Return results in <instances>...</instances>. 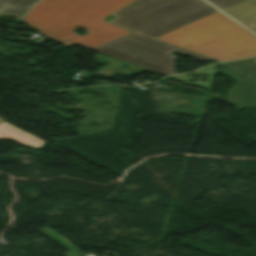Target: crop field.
I'll return each instance as SVG.
<instances>
[{
    "label": "crop field",
    "mask_w": 256,
    "mask_h": 256,
    "mask_svg": "<svg viewBox=\"0 0 256 256\" xmlns=\"http://www.w3.org/2000/svg\"><path fill=\"white\" fill-rule=\"evenodd\" d=\"M38 0H0V14L21 18Z\"/></svg>",
    "instance_id": "7"
},
{
    "label": "crop field",
    "mask_w": 256,
    "mask_h": 256,
    "mask_svg": "<svg viewBox=\"0 0 256 256\" xmlns=\"http://www.w3.org/2000/svg\"><path fill=\"white\" fill-rule=\"evenodd\" d=\"M0 139H13L19 143L39 149L46 142L5 122L0 124Z\"/></svg>",
    "instance_id": "6"
},
{
    "label": "crop field",
    "mask_w": 256,
    "mask_h": 256,
    "mask_svg": "<svg viewBox=\"0 0 256 256\" xmlns=\"http://www.w3.org/2000/svg\"><path fill=\"white\" fill-rule=\"evenodd\" d=\"M254 62H256V61H254Z\"/></svg>",
    "instance_id": "12"
},
{
    "label": "crop field",
    "mask_w": 256,
    "mask_h": 256,
    "mask_svg": "<svg viewBox=\"0 0 256 256\" xmlns=\"http://www.w3.org/2000/svg\"><path fill=\"white\" fill-rule=\"evenodd\" d=\"M216 65L206 67V68H203V69H201L197 72H194V74H200V75L208 74V79H207L206 83L198 82V81L190 83L187 80L192 79V78L190 76H185V75H174V76H170V78L173 79V80L181 81V82H183L187 85H198V86L208 90L209 87H210V84L212 82L213 76H214Z\"/></svg>",
    "instance_id": "9"
},
{
    "label": "crop field",
    "mask_w": 256,
    "mask_h": 256,
    "mask_svg": "<svg viewBox=\"0 0 256 256\" xmlns=\"http://www.w3.org/2000/svg\"><path fill=\"white\" fill-rule=\"evenodd\" d=\"M0 121H2V119H0Z\"/></svg>",
    "instance_id": "11"
},
{
    "label": "crop field",
    "mask_w": 256,
    "mask_h": 256,
    "mask_svg": "<svg viewBox=\"0 0 256 256\" xmlns=\"http://www.w3.org/2000/svg\"><path fill=\"white\" fill-rule=\"evenodd\" d=\"M251 34L218 11L155 39L225 61L256 55Z\"/></svg>",
    "instance_id": "3"
},
{
    "label": "crop field",
    "mask_w": 256,
    "mask_h": 256,
    "mask_svg": "<svg viewBox=\"0 0 256 256\" xmlns=\"http://www.w3.org/2000/svg\"><path fill=\"white\" fill-rule=\"evenodd\" d=\"M135 0H42L22 20L41 34L66 47L75 43L92 49L129 31L101 20ZM83 23V25H79ZM78 26L87 30L81 37L72 31ZM70 38L64 43L65 39Z\"/></svg>",
    "instance_id": "2"
},
{
    "label": "crop field",
    "mask_w": 256,
    "mask_h": 256,
    "mask_svg": "<svg viewBox=\"0 0 256 256\" xmlns=\"http://www.w3.org/2000/svg\"><path fill=\"white\" fill-rule=\"evenodd\" d=\"M208 1L212 3L214 6H216L218 9L222 10L224 8L230 7L232 5L238 4L246 0H208Z\"/></svg>",
    "instance_id": "10"
},
{
    "label": "crop field",
    "mask_w": 256,
    "mask_h": 256,
    "mask_svg": "<svg viewBox=\"0 0 256 256\" xmlns=\"http://www.w3.org/2000/svg\"><path fill=\"white\" fill-rule=\"evenodd\" d=\"M216 11L202 0H139L111 21L135 32L92 50L162 75L174 73L173 51L201 62L212 59L153 38Z\"/></svg>",
    "instance_id": "1"
},
{
    "label": "crop field",
    "mask_w": 256,
    "mask_h": 256,
    "mask_svg": "<svg viewBox=\"0 0 256 256\" xmlns=\"http://www.w3.org/2000/svg\"><path fill=\"white\" fill-rule=\"evenodd\" d=\"M49 238L53 239L63 247L67 248L70 250V253L64 254V256H80V249L76 248L73 244H71L66 238H64L60 233H58L56 230L45 226L39 230H37Z\"/></svg>",
    "instance_id": "8"
},
{
    "label": "crop field",
    "mask_w": 256,
    "mask_h": 256,
    "mask_svg": "<svg viewBox=\"0 0 256 256\" xmlns=\"http://www.w3.org/2000/svg\"><path fill=\"white\" fill-rule=\"evenodd\" d=\"M222 11L256 33V0H248Z\"/></svg>",
    "instance_id": "5"
},
{
    "label": "crop field",
    "mask_w": 256,
    "mask_h": 256,
    "mask_svg": "<svg viewBox=\"0 0 256 256\" xmlns=\"http://www.w3.org/2000/svg\"><path fill=\"white\" fill-rule=\"evenodd\" d=\"M1 16V15H0Z\"/></svg>",
    "instance_id": "13"
},
{
    "label": "crop field",
    "mask_w": 256,
    "mask_h": 256,
    "mask_svg": "<svg viewBox=\"0 0 256 256\" xmlns=\"http://www.w3.org/2000/svg\"><path fill=\"white\" fill-rule=\"evenodd\" d=\"M255 58L219 64L221 67H227L221 70V73L237 82L226 96L228 103L234 105L236 109L256 105V64L252 62ZM233 68H236L238 72L232 70ZM242 73L250 74V76L241 77Z\"/></svg>",
    "instance_id": "4"
}]
</instances>
